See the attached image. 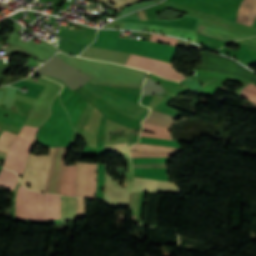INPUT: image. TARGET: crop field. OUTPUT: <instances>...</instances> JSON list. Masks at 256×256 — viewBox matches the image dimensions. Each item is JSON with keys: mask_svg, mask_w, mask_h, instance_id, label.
Returning <instances> with one entry per match:
<instances>
[{"mask_svg": "<svg viewBox=\"0 0 256 256\" xmlns=\"http://www.w3.org/2000/svg\"><path fill=\"white\" fill-rule=\"evenodd\" d=\"M12 220L44 224L42 194L28 191L19 183L14 192Z\"/></svg>", "mask_w": 256, "mask_h": 256, "instance_id": "crop-field-1", "label": "crop field"}, {"mask_svg": "<svg viewBox=\"0 0 256 256\" xmlns=\"http://www.w3.org/2000/svg\"><path fill=\"white\" fill-rule=\"evenodd\" d=\"M54 149L50 148L49 156H30L21 180L22 184H31L30 189L43 192Z\"/></svg>", "mask_w": 256, "mask_h": 256, "instance_id": "crop-field-2", "label": "crop field"}, {"mask_svg": "<svg viewBox=\"0 0 256 256\" xmlns=\"http://www.w3.org/2000/svg\"><path fill=\"white\" fill-rule=\"evenodd\" d=\"M113 176L108 175L106 165V184L104 202L112 208L129 206V191L131 181H124L125 189L119 188L118 181H113Z\"/></svg>", "mask_w": 256, "mask_h": 256, "instance_id": "crop-field-3", "label": "crop field"}, {"mask_svg": "<svg viewBox=\"0 0 256 256\" xmlns=\"http://www.w3.org/2000/svg\"><path fill=\"white\" fill-rule=\"evenodd\" d=\"M87 164L80 163L77 177V196L84 197ZM97 164H88L85 197L95 199Z\"/></svg>", "mask_w": 256, "mask_h": 256, "instance_id": "crop-field-4", "label": "crop field"}, {"mask_svg": "<svg viewBox=\"0 0 256 256\" xmlns=\"http://www.w3.org/2000/svg\"><path fill=\"white\" fill-rule=\"evenodd\" d=\"M178 189L174 183L134 177V183L130 192L157 191L165 193H180Z\"/></svg>", "mask_w": 256, "mask_h": 256, "instance_id": "crop-field-5", "label": "crop field"}, {"mask_svg": "<svg viewBox=\"0 0 256 256\" xmlns=\"http://www.w3.org/2000/svg\"><path fill=\"white\" fill-rule=\"evenodd\" d=\"M45 224L60 222V196L44 194Z\"/></svg>", "mask_w": 256, "mask_h": 256, "instance_id": "crop-field-6", "label": "crop field"}, {"mask_svg": "<svg viewBox=\"0 0 256 256\" xmlns=\"http://www.w3.org/2000/svg\"><path fill=\"white\" fill-rule=\"evenodd\" d=\"M78 162L72 166H66L62 186L61 195L76 196V177H77Z\"/></svg>", "mask_w": 256, "mask_h": 256, "instance_id": "crop-field-7", "label": "crop field"}, {"mask_svg": "<svg viewBox=\"0 0 256 256\" xmlns=\"http://www.w3.org/2000/svg\"><path fill=\"white\" fill-rule=\"evenodd\" d=\"M256 18V0H244L239 7L236 22L251 26Z\"/></svg>", "mask_w": 256, "mask_h": 256, "instance_id": "crop-field-8", "label": "crop field"}, {"mask_svg": "<svg viewBox=\"0 0 256 256\" xmlns=\"http://www.w3.org/2000/svg\"><path fill=\"white\" fill-rule=\"evenodd\" d=\"M166 172H167V168H162V169L134 168V176L171 181V179L169 178Z\"/></svg>", "mask_w": 256, "mask_h": 256, "instance_id": "crop-field-9", "label": "crop field"}, {"mask_svg": "<svg viewBox=\"0 0 256 256\" xmlns=\"http://www.w3.org/2000/svg\"><path fill=\"white\" fill-rule=\"evenodd\" d=\"M147 31H155V32H159V33H164V34H169V35H173L176 37L189 39V40H192L195 42L197 41V36H196L195 32H192V31H187V30H182V29L161 28V27H156V26H152V25H149Z\"/></svg>", "mask_w": 256, "mask_h": 256, "instance_id": "crop-field-10", "label": "crop field"}, {"mask_svg": "<svg viewBox=\"0 0 256 256\" xmlns=\"http://www.w3.org/2000/svg\"><path fill=\"white\" fill-rule=\"evenodd\" d=\"M61 217L62 222L77 218L76 198L62 197Z\"/></svg>", "mask_w": 256, "mask_h": 256, "instance_id": "crop-field-11", "label": "crop field"}, {"mask_svg": "<svg viewBox=\"0 0 256 256\" xmlns=\"http://www.w3.org/2000/svg\"><path fill=\"white\" fill-rule=\"evenodd\" d=\"M198 32L205 34L207 36H210V37H214V38H218V39H222V40H226V41H230V42H232L236 39H240V37H238L234 34H231V33L225 32V31H221V30H218L215 28H211L208 26L200 25V24L198 26Z\"/></svg>", "mask_w": 256, "mask_h": 256, "instance_id": "crop-field-12", "label": "crop field"}, {"mask_svg": "<svg viewBox=\"0 0 256 256\" xmlns=\"http://www.w3.org/2000/svg\"><path fill=\"white\" fill-rule=\"evenodd\" d=\"M16 137L17 134L4 131L0 137V150L7 153Z\"/></svg>", "mask_w": 256, "mask_h": 256, "instance_id": "crop-field-13", "label": "crop field"}, {"mask_svg": "<svg viewBox=\"0 0 256 256\" xmlns=\"http://www.w3.org/2000/svg\"><path fill=\"white\" fill-rule=\"evenodd\" d=\"M137 145H145V144H137ZM133 145L130 149L133 150H141V151H154V152H179V148L167 147V146H158V145H145V146H153V147H161V148H169V149H177V150H169V149H161V148H153V147H145V146H137Z\"/></svg>", "mask_w": 256, "mask_h": 256, "instance_id": "crop-field-14", "label": "crop field"}, {"mask_svg": "<svg viewBox=\"0 0 256 256\" xmlns=\"http://www.w3.org/2000/svg\"><path fill=\"white\" fill-rule=\"evenodd\" d=\"M139 143L167 145V146H173V147H179L180 148L178 142L164 140V139H157V138L140 137Z\"/></svg>", "mask_w": 256, "mask_h": 256, "instance_id": "crop-field-15", "label": "crop field"}, {"mask_svg": "<svg viewBox=\"0 0 256 256\" xmlns=\"http://www.w3.org/2000/svg\"><path fill=\"white\" fill-rule=\"evenodd\" d=\"M241 97L253 100L256 102V85L249 83L242 89Z\"/></svg>", "mask_w": 256, "mask_h": 256, "instance_id": "crop-field-16", "label": "crop field"}, {"mask_svg": "<svg viewBox=\"0 0 256 256\" xmlns=\"http://www.w3.org/2000/svg\"><path fill=\"white\" fill-rule=\"evenodd\" d=\"M142 125H143V129L142 130L153 132V133H157V134H162V135L170 136L169 130L166 129V128L158 127V126L151 125V124L144 123V122H142Z\"/></svg>", "mask_w": 256, "mask_h": 256, "instance_id": "crop-field-17", "label": "crop field"}, {"mask_svg": "<svg viewBox=\"0 0 256 256\" xmlns=\"http://www.w3.org/2000/svg\"><path fill=\"white\" fill-rule=\"evenodd\" d=\"M106 151H116L120 153H128L127 143H117L105 146Z\"/></svg>", "mask_w": 256, "mask_h": 256, "instance_id": "crop-field-18", "label": "crop field"}, {"mask_svg": "<svg viewBox=\"0 0 256 256\" xmlns=\"http://www.w3.org/2000/svg\"><path fill=\"white\" fill-rule=\"evenodd\" d=\"M150 40L155 41V42L164 43V44L173 45V46H175L176 43H177V39L169 38V37H163V36H157V35H153V34H152Z\"/></svg>", "mask_w": 256, "mask_h": 256, "instance_id": "crop-field-19", "label": "crop field"}, {"mask_svg": "<svg viewBox=\"0 0 256 256\" xmlns=\"http://www.w3.org/2000/svg\"><path fill=\"white\" fill-rule=\"evenodd\" d=\"M133 163L170 162L169 158H132Z\"/></svg>", "mask_w": 256, "mask_h": 256, "instance_id": "crop-field-20", "label": "crop field"}, {"mask_svg": "<svg viewBox=\"0 0 256 256\" xmlns=\"http://www.w3.org/2000/svg\"><path fill=\"white\" fill-rule=\"evenodd\" d=\"M78 217L86 216L85 199L77 198Z\"/></svg>", "mask_w": 256, "mask_h": 256, "instance_id": "crop-field-21", "label": "crop field"}, {"mask_svg": "<svg viewBox=\"0 0 256 256\" xmlns=\"http://www.w3.org/2000/svg\"><path fill=\"white\" fill-rule=\"evenodd\" d=\"M134 167H166V163H156V164H139L133 165Z\"/></svg>", "mask_w": 256, "mask_h": 256, "instance_id": "crop-field-22", "label": "crop field"}, {"mask_svg": "<svg viewBox=\"0 0 256 256\" xmlns=\"http://www.w3.org/2000/svg\"><path fill=\"white\" fill-rule=\"evenodd\" d=\"M140 136H151V137L165 138V139L171 140V137L156 135V134H152V133H148V132H144V131H141Z\"/></svg>", "mask_w": 256, "mask_h": 256, "instance_id": "crop-field-23", "label": "crop field"}, {"mask_svg": "<svg viewBox=\"0 0 256 256\" xmlns=\"http://www.w3.org/2000/svg\"><path fill=\"white\" fill-rule=\"evenodd\" d=\"M177 44H179V45H184V46H189V47H193V48H200L199 46H197V45H194V44H192V43H190V42H187V41H184V40H180L179 39V41H178V43Z\"/></svg>", "mask_w": 256, "mask_h": 256, "instance_id": "crop-field-24", "label": "crop field"}, {"mask_svg": "<svg viewBox=\"0 0 256 256\" xmlns=\"http://www.w3.org/2000/svg\"><path fill=\"white\" fill-rule=\"evenodd\" d=\"M252 26H253V27H256V19H255V21L253 22Z\"/></svg>", "mask_w": 256, "mask_h": 256, "instance_id": "crop-field-25", "label": "crop field"}, {"mask_svg": "<svg viewBox=\"0 0 256 256\" xmlns=\"http://www.w3.org/2000/svg\"><path fill=\"white\" fill-rule=\"evenodd\" d=\"M4 159H5L4 157H0V161H2V162H3V161H4Z\"/></svg>", "mask_w": 256, "mask_h": 256, "instance_id": "crop-field-26", "label": "crop field"}, {"mask_svg": "<svg viewBox=\"0 0 256 256\" xmlns=\"http://www.w3.org/2000/svg\"><path fill=\"white\" fill-rule=\"evenodd\" d=\"M2 169V167H0V170Z\"/></svg>", "mask_w": 256, "mask_h": 256, "instance_id": "crop-field-27", "label": "crop field"}]
</instances>
